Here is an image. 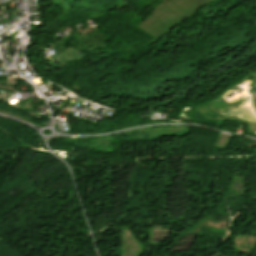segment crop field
<instances>
[{"mask_svg":"<svg viewBox=\"0 0 256 256\" xmlns=\"http://www.w3.org/2000/svg\"><path fill=\"white\" fill-rule=\"evenodd\" d=\"M163 2L138 26L153 38L146 46L155 43L191 14L212 0H162Z\"/></svg>","mask_w":256,"mask_h":256,"instance_id":"1","label":"crop field"},{"mask_svg":"<svg viewBox=\"0 0 256 256\" xmlns=\"http://www.w3.org/2000/svg\"><path fill=\"white\" fill-rule=\"evenodd\" d=\"M108 37L105 35H101L99 33H95V34H90V35H86L85 38H80L77 41L79 42L78 46L80 47V49L89 52V54L92 52V49H95L98 46H102L105 47L106 45L104 44V40L107 39ZM89 44L90 46L94 45L91 48L85 49L83 46ZM93 53V52H92ZM99 53V52H94V54Z\"/></svg>","mask_w":256,"mask_h":256,"instance_id":"2","label":"crop field"}]
</instances>
